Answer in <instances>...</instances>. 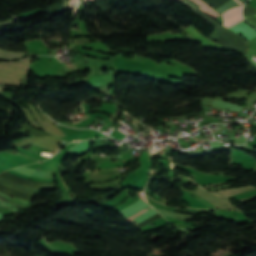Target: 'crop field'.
Wrapping results in <instances>:
<instances>
[{
    "instance_id": "8a807250",
    "label": "crop field",
    "mask_w": 256,
    "mask_h": 256,
    "mask_svg": "<svg viewBox=\"0 0 256 256\" xmlns=\"http://www.w3.org/2000/svg\"><path fill=\"white\" fill-rule=\"evenodd\" d=\"M194 193H197L201 196H203L204 198H206L209 202H211L212 204L216 205L217 208H228V209H236L232 204L229 203V201L227 199H222L219 197H216L202 189H197L196 191H192ZM237 210V209H236Z\"/></svg>"
},
{
    "instance_id": "ac0d7876",
    "label": "crop field",
    "mask_w": 256,
    "mask_h": 256,
    "mask_svg": "<svg viewBox=\"0 0 256 256\" xmlns=\"http://www.w3.org/2000/svg\"><path fill=\"white\" fill-rule=\"evenodd\" d=\"M243 6V5H242ZM242 6L235 7L221 14L225 27H230L240 21H242L241 8Z\"/></svg>"
},
{
    "instance_id": "34b2d1b8",
    "label": "crop field",
    "mask_w": 256,
    "mask_h": 256,
    "mask_svg": "<svg viewBox=\"0 0 256 256\" xmlns=\"http://www.w3.org/2000/svg\"><path fill=\"white\" fill-rule=\"evenodd\" d=\"M228 29L238 33L239 35L244 37L246 41L256 36V31L243 21Z\"/></svg>"
},
{
    "instance_id": "412701ff",
    "label": "crop field",
    "mask_w": 256,
    "mask_h": 256,
    "mask_svg": "<svg viewBox=\"0 0 256 256\" xmlns=\"http://www.w3.org/2000/svg\"><path fill=\"white\" fill-rule=\"evenodd\" d=\"M148 205L142 201L141 199L138 200L136 203L132 204L131 206L119 211L125 218H128L143 209H145Z\"/></svg>"
},
{
    "instance_id": "f4fd0767",
    "label": "crop field",
    "mask_w": 256,
    "mask_h": 256,
    "mask_svg": "<svg viewBox=\"0 0 256 256\" xmlns=\"http://www.w3.org/2000/svg\"><path fill=\"white\" fill-rule=\"evenodd\" d=\"M254 188H256V187L246 186V187H242V188L225 189V190L216 191V192H213V193L224 196V197H228L230 195L238 194L240 192L251 190V189H254Z\"/></svg>"
},
{
    "instance_id": "dd49c442",
    "label": "crop field",
    "mask_w": 256,
    "mask_h": 256,
    "mask_svg": "<svg viewBox=\"0 0 256 256\" xmlns=\"http://www.w3.org/2000/svg\"><path fill=\"white\" fill-rule=\"evenodd\" d=\"M194 2H196L197 4L201 5L202 7L199 8L201 9L203 12H205L207 15H209L211 18H216L218 16H220L217 12H215L214 10H212L210 7H208L203 1L201 0H192Z\"/></svg>"
},
{
    "instance_id": "e52e79f7",
    "label": "crop field",
    "mask_w": 256,
    "mask_h": 256,
    "mask_svg": "<svg viewBox=\"0 0 256 256\" xmlns=\"http://www.w3.org/2000/svg\"><path fill=\"white\" fill-rule=\"evenodd\" d=\"M0 198L5 200V201H8V202H12V203H17V204H20V205H23V206H27L28 204V201L24 200V199H20V198H10L4 194H1L0 193ZM30 202V201H29ZM30 205V203L28 204V206Z\"/></svg>"
},
{
    "instance_id": "d8731c3e",
    "label": "crop field",
    "mask_w": 256,
    "mask_h": 256,
    "mask_svg": "<svg viewBox=\"0 0 256 256\" xmlns=\"http://www.w3.org/2000/svg\"><path fill=\"white\" fill-rule=\"evenodd\" d=\"M213 104L217 105V106H221V107L227 108V109H233L236 112H238L239 110L243 109V107H239V106H236V105H233V104H230V103H226V102H222V101H217V100H215Z\"/></svg>"
},
{
    "instance_id": "5a996713",
    "label": "crop field",
    "mask_w": 256,
    "mask_h": 256,
    "mask_svg": "<svg viewBox=\"0 0 256 256\" xmlns=\"http://www.w3.org/2000/svg\"><path fill=\"white\" fill-rule=\"evenodd\" d=\"M155 214H157V212L155 210L151 209L148 212H146V213L140 215L139 217L135 218L134 220H136L137 222L140 223V222L150 218L151 216H153Z\"/></svg>"
},
{
    "instance_id": "3316defc",
    "label": "crop field",
    "mask_w": 256,
    "mask_h": 256,
    "mask_svg": "<svg viewBox=\"0 0 256 256\" xmlns=\"http://www.w3.org/2000/svg\"><path fill=\"white\" fill-rule=\"evenodd\" d=\"M15 171L26 174V175H30L34 172V169H30V168H26V167H18V168H14Z\"/></svg>"
},
{
    "instance_id": "28ad6ade",
    "label": "crop field",
    "mask_w": 256,
    "mask_h": 256,
    "mask_svg": "<svg viewBox=\"0 0 256 256\" xmlns=\"http://www.w3.org/2000/svg\"><path fill=\"white\" fill-rule=\"evenodd\" d=\"M146 210H147V209L143 210L142 212H140V213L134 215L133 217H131V218L127 219V220H130V219H132V218H134V217H137L138 215L142 214V213H143L144 211H146Z\"/></svg>"
},
{
    "instance_id": "d1516ede",
    "label": "crop field",
    "mask_w": 256,
    "mask_h": 256,
    "mask_svg": "<svg viewBox=\"0 0 256 256\" xmlns=\"http://www.w3.org/2000/svg\"><path fill=\"white\" fill-rule=\"evenodd\" d=\"M69 2H70V6L72 7L75 3V0H69Z\"/></svg>"
},
{
    "instance_id": "22f410ed",
    "label": "crop field",
    "mask_w": 256,
    "mask_h": 256,
    "mask_svg": "<svg viewBox=\"0 0 256 256\" xmlns=\"http://www.w3.org/2000/svg\"><path fill=\"white\" fill-rule=\"evenodd\" d=\"M88 1H90V0H83L82 3H86V2H88Z\"/></svg>"
}]
</instances>
